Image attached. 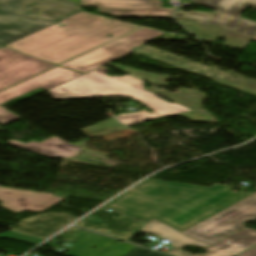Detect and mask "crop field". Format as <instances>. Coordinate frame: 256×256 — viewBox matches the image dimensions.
Segmentation results:
<instances>
[{"label":"crop field","mask_w":256,"mask_h":256,"mask_svg":"<svg viewBox=\"0 0 256 256\" xmlns=\"http://www.w3.org/2000/svg\"><path fill=\"white\" fill-rule=\"evenodd\" d=\"M108 69L100 67L78 78L48 90L54 99L93 98L96 96L130 97L149 110L141 109L138 113L120 114L116 117L126 127L154 120L165 116H173L192 111L183 106L167 103L155 97L144 88L143 81L130 75L111 78L105 75Z\"/></svg>","instance_id":"obj_2"},{"label":"crop field","mask_w":256,"mask_h":256,"mask_svg":"<svg viewBox=\"0 0 256 256\" xmlns=\"http://www.w3.org/2000/svg\"><path fill=\"white\" fill-rule=\"evenodd\" d=\"M139 27L121 22L96 24L79 32L47 27L5 47L57 65Z\"/></svg>","instance_id":"obj_3"},{"label":"crop field","mask_w":256,"mask_h":256,"mask_svg":"<svg viewBox=\"0 0 256 256\" xmlns=\"http://www.w3.org/2000/svg\"><path fill=\"white\" fill-rule=\"evenodd\" d=\"M254 244H256V231L244 229L205 249L207 254L193 256H233Z\"/></svg>","instance_id":"obj_15"},{"label":"crop field","mask_w":256,"mask_h":256,"mask_svg":"<svg viewBox=\"0 0 256 256\" xmlns=\"http://www.w3.org/2000/svg\"><path fill=\"white\" fill-rule=\"evenodd\" d=\"M70 1H73V2H76V3L78 2V0H70Z\"/></svg>","instance_id":"obj_23"},{"label":"crop field","mask_w":256,"mask_h":256,"mask_svg":"<svg viewBox=\"0 0 256 256\" xmlns=\"http://www.w3.org/2000/svg\"><path fill=\"white\" fill-rule=\"evenodd\" d=\"M121 129H125V128L119 123H117L115 120L111 119V120L99 122L94 126L80 129V131H82L88 137L92 138V137L107 134V133L114 132Z\"/></svg>","instance_id":"obj_17"},{"label":"crop field","mask_w":256,"mask_h":256,"mask_svg":"<svg viewBox=\"0 0 256 256\" xmlns=\"http://www.w3.org/2000/svg\"><path fill=\"white\" fill-rule=\"evenodd\" d=\"M252 41H256V36L252 39Z\"/></svg>","instance_id":"obj_24"},{"label":"crop field","mask_w":256,"mask_h":256,"mask_svg":"<svg viewBox=\"0 0 256 256\" xmlns=\"http://www.w3.org/2000/svg\"><path fill=\"white\" fill-rule=\"evenodd\" d=\"M0 238H8V239L25 242L33 245H37L44 240V239H40V238L28 236V235L16 233L13 231L0 234Z\"/></svg>","instance_id":"obj_18"},{"label":"crop field","mask_w":256,"mask_h":256,"mask_svg":"<svg viewBox=\"0 0 256 256\" xmlns=\"http://www.w3.org/2000/svg\"><path fill=\"white\" fill-rule=\"evenodd\" d=\"M165 33L141 29L84 55L74 58L60 66L86 73L111 61L131 53V48L157 38Z\"/></svg>","instance_id":"obj_6"},{"label":"crop field","mask_w":256,"mask_h":256,"mask_svg":"<svg viewBox=\"0 0 256 256\" xmlns=\"http://www.w3.org/2000/svg\"><path fill=\"white\" fill-rule=\"evenodd\" d=\"M141 231L162 237L171 242L169 246L173 247L171 250L167 252V254L175 255V256H192L187 253H183L180 251L181 248L186 247L188 245L207 248L210 245L202 243L200 241L189 238L180 232L156 221L151 220L146 226H144Z\"/></svg>","instance_id":"obj_14"},{"label":"crop field","mask_w":256,"mask_h":256,"mask_svg":"<svg viewBox=\"0 0 256 256\" xmlns=\"http://www.w3.org/2000/svg\"><path fill=\"white\" fill-rule=\"evenodd\" d=\"M154 181V184L141 186L148 189L142 195L128 192L105 206L145 221L154 217L181 232L252 195H237L229 191L232 188L219 184L207 188Z\"/></svg>","instance_id":"obj_1"},{"label":"crop field","mask_w":256,"mask_h":256,"mask_svg":"<svg viewBox=\"0 0 256 256\" xmlns=\"http://www.w3.org/2000/svg\"><path fill=\"white\" fill-rule=\"evenodd\" d=\"M149 183H154V182H153V181H150V180H146V181H144V182L138 184L137 186H135V189H134V190H128V191L141 194V193H143V192L146 191V190H145V189H141V188H139V187H140L141 185H148ZM128 191H126V192H128ZM126 192H125V193H126ZM125 193H123L122 195H124Z\"/></svg>","instance_id":"obj_21"},{"label":"crop field","mask_w":256,"mask_h":256,"mask_svg":"<svg viewBox=\"0 0 256 256\" xmlns=\"http://www.w3.org/2000/svg\"><path fill=\"white\" fill-rule=\"evenodd\" d=\"M52 193H39L29 190L0 187V201L3 207L13 211H42L64 198L52 197Z\"/></svg>","instance_id":"obj_12"},{"label":"crop field","mask_w":256,"mask_h":256,"mask_svg":"<svg viewBox=\"0 0 256 256\" xmlns=\"http://www.w3.org/2000/svg\"><path fill=\"white\" fill-rule=\"evenodd\" d=\"M19 119L21 118L0 107V124L1 125L4 126L6 124H9Z\"/></svg>","instance_id":"obj_19"},{"label":"crop field","mask_w":256,"mask_h":256,"mask_svg":"<svg viewBox=\"0 0 256 256\" xmlns=\"http://www.w3.org/2000/svg\"><path fill=\"white\" fill-rule=\"evenodd\" d=\"M80 75L82 74L57 66L3 92H0V105L39 87L48 90Z\"/></svg>","instance_id":"obj_11"},{"label":"crop field","mask_w":256,"mask_h":256,"mask_svg":"<svg viewBox=\"0 0 256 256\" xmlns=\"http://www.w3.org/2000/svg\"><path fill=\"white\" fill-rule=\"evenodd\" d=\"M7 145L48 158L75 157L76 154L81 150V147L71 145L57 137H52L43 141L42 143L31 141L29 144H24L16 140H10L7 142Z\"/></svg>","instance_id":"obj_13"},{"label":"crop field","mask_w":256,"mask_h":256,"mask_svg":"<svg viewBox=\"0 0 256 256\" xmlns=\"http://www.w3.org/2000/svg\"><path fill=\"white\" fill-rule=\"evenodd\" d=\"M125 256H166V255L136 247Z\"/></svg>","instance_id":"obj_20"},{"label":"crop field","mask_w":256,"mask_h":256,"mask_svg":"<svg viewBox=\"0 0 256 256\" xmlns=\"http://www.w3.org/2000/svg\"><path fill=\"white\" fill-rule=\"evenodd\" d=\"M254 248H256V247H254Z\"/></svg>","instance_id":"obj_25"},{"label":"crop field","mask_w":256,"mask_h":256,"mask_svg":"<svg viewBox=\"0 0 256 256\" xmlns=\"http://www.w3.org/2000/svg\"><path fill=\"white\" fill-rule=\"evenodd\" d=\"M115 22H117V21H115V20L109 21V20H105L98 16L79 12L69 18H66V19L50 26V27H52L56 30H58L62 27H65V28L79 31L81 29H84V28L94 25L96 23H115Z\"/></svg>","instance_id":"obj_16"},{"label":"crop field","mask_w":256,"mask_h":256,"mask_svg":"<svg viewBox=\"0 0 256 256\" xmlns=\"http://www.w3.org/2000/svg\"><path fill=\"white\" fill-rule=\"evenodd\" d=\"M0 7L25 13L52 22H58L80 11L79 5L64 0H0ZM40 9L38 15L31 8Z\"/></svg>","instance_id":"obj_9"},{"label":"crop field","mask_w":256,"mask_h":256,"mask_svg":"<svg viewBox=\"0 0 256 256\" xmlns=\"http://www.w3.org/2000/svg\"><path fill=\"white\" fill-rule=\"evenodd\" d=\"M53 67L41 60L0 47V91Z\"/></svg>","instance_id":"obj_7"},{"label":"crop field","mask_w":256,"mask_h":256,"mask_svg":"<svg viewBox=\"0 0 256 256\" xmlns=\"http://www.w3.org/2000/svg\"><path fill=\"white\" fill-rule=\"evenodd\" d=\"M160 0H81L82 6H98L111 16L171 17L174 9L160 8Z\"/></svg>","instance_id":"obj_8"},{"label":"crop field","mask_w":256,"mask_h":256,"mask_svg":"<svg viewBox=\"0 0 256 256\" xmlns=\"http://www.w3.org/2000/svg\"><path fill=\"white\" fill-rule=\"evenodd\" d=\"M192 4L219 11L215 14L177 11L175 17L191 18L206 26L218 25L250 37L256 34V22L239 17L247 6L256 8V0H192Z\"/></svg>","instance_id":"obj_5"},{"label":"crop field","mask_w":256,"mask_h":256,"mask_svg":"<svg viewBox=\"0 0 256 256\" xmlns=\"http://www.w3.org/2000/svg\"><path fill=\"white\" fill-rule=\"evenodd\" d=\"M255 219L256 193L182 233L212 245L216 241L244 228L242 223Z\"/></svg>","instance_id":"obj_4"},{"label":"crop field","mask_w":256,"mask_h":256,"mask_svg":"<svg viewBox=\"0 0 256 256\" xmlns=\"http://www.w3.org/2000/svg\"><path fill=\"white\" fill-rule=\"evenodd\" d=\"M238 256H256V250L252 248Z\"/></svg>","instance_id":"obj_22"},{"label":"crop field","mask_w":256,"mask_h":256,"mask_svg":"<svg viewBox=\"0 0 256 256\" xmlns=\"http://www.w3.org/2000/svg\"><path fill=\"white\" fill-rule=\"evenodd\" d=\"M51 24L53 23L0 8V45L5 46Z\"/></svg>","instance_id":"obj_10"}]
</instances>
